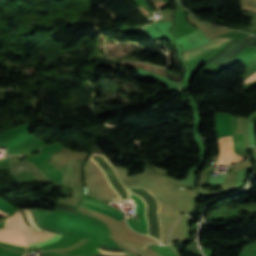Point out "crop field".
I'll return each instance as SVG.
<instances>
[{
	"instance_id": "obj_9",
	"label": "crop field",
	"mask_w": 256,
	"mask_h": 256,
	"mask_svg": "<svg viewBox=\"0 0 256 256\" xmlns=\"http://www.w3.org/2000/svg\"><path fill=\"white\" fill-rule=\"evenodd\" d=\"M38 151H40V148L39 149H37Z\"/></svg>"
},
{
	"instance_id": "obj_2",
	"label": "crop field",
	"mask_w": 256,
	"mask_h": 256,
	"mask_svg": "<svg viewBox=\"0 0 256 256\" xmlns=\"http://www.w3.org/2000/svg\"><path fill=\"white\" fill-rule=\"evenodd\" d=\"M131 196H132V199L137 203L141 222L139 221L140 220L139 217H137V219L139 220H137L136 218H133V219L127 220V223L132 229L149 235V226H148V220L146 216L147 203L139 195L131 193Z\"/></svg>"
},
{
	"instance_id": "obj_4",
	"label": "crop field",
	"mask_w": 256,
	"mask_h": 256,
	"mask_svg": "<svg viewBox=\"0 0 256 256\" xmlns=\"http://www.w3.org/2000/svg\"><path fill=\"white\" fill-rule=\"evenodd\" d=\"M230 143H226V137H222L218 140L219 143V154L218 164H230L232 162L244 159L238 155H235L232 149L231 136L229 137ZM227 142H229L227 137Z\"/></svg>"
},
{
	"instance_id": "obj_6",
	"label": "crop field",
	"mask_w": 256,
	"mask_h": 256,
	"mask_svg": "<svg viewBox=\"0 0 256 256\" xmlns=\"http://www.w3.org/2000/svg\"><path fill=\"white\" fill-rule=\"evenodd\" d=\"M149 247L152 249L156 256H175L170 247L168 246H158L155 244H150Z\"/></svg>"
},
{
	"instance_id": "obj_1",
	"label": "crop field",
	"mask_w": 256,
	"mask_h": 256,
	"mask_svg": "<svg viewBox=\"0 0 256 256\" xmlns=\"http://www.w3.org/2000/svg\"><path fill=\"white\" fill-rule=\"evenodd\" d=\"M8 230H20V231H28L29 229L25 226L21 211H16L11 217L6 218L4 228ZM1 230L0 231V240L5 241L12 244L23 245L26 246H35L38 247L44 245L46 243L57 240L60 235L55 234H47L42 233L40 231L26 232V241H25V232L20 231H8ZM38 247H35L37 249Z\"/></svg>"
},
{
	"instance_id": "obj_8",
	"label": "crop field",
	"mask_w": 256,
	"mask_h": 256,
	"mask_svg": "<svg viewBox=\"0 0 256 256\" xmlns=\"http://www.w3.org/2000/svg\"><path fill=\"white\" fill-rule=\"evenodd\" d=\"M30 152L28 148H22V149H8L6 151L7 154H26Z\"/></svg>"
},
{
	"instance_id": "obj_5",
	"label": "crop field",
	"mask_w": 256,
	"mask_h": 256,
	"mask_svg": "<svg viewBox=\"0 0 256 256\" xmlns=\"http://www.w3.org/2000/svg\"><path fill=\"white\" fill-rule=\"evenodd\" d=\"M82 206L95 210V211H99L102 212L106 215H108L109 217H111L113 220L115 221H120L123 219L124 216H122L120 213H118L116 210L102 204V203H98L95 202L91 199H88L86 197L83 198V202L81 204Z\"/></svg>"
},
{
	"instance_id": "obj_3",
	"label": "crop field",
	"mask_w": 256,
	"mask_h": 256,
	"mask_svg": "<svg viewBox=\"0 0 256 256\" xmlns=\"http://www.w3.org/2000/svg\"><path fill=\"white\" fill-rule=\"evenodd\" d=\"M230 40H232V39H229V38L213 39V40L207 42L203 46H199V47H197L195 49L184 51V53L182 54V58L184 60H189L191 58L198 57L200 55H204L205 53L210 52V51L216 49L217 47H219V46L229 42Z\"/></svg>"
},
{
	"instance_id": "obj_7",
	"label": "crop field",
	"mask_w": 256,
	"mask_h": 256,
	"mask_svg": "<svg viewBox=\"0 0 256 256\" xmlns=\"http://www.w3.org/2000/svg\"><path fill=\"white\" fill-rule=\"evenodd\" d=\"M256 1V0H249ZM243 1L242 9L247 11L256 12V2Z\"/></svg>"
}]
</instances>
